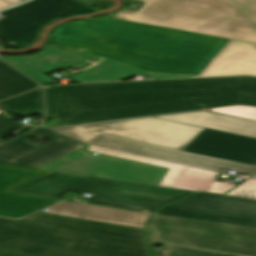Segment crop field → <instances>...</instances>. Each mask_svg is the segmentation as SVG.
I'll return each instance as SVG.
<instances>
[{
    "mask_svg": "<svg viewBox=\"0 0 256 256\" xmlns=\"http://www.w3.org/2000/svg\"><path fill=\"white\" fill-rule=\"evenodd\" d=\"M36 86L25 76L0 61V100Z\"/></svg>",
    "mask_w": 256,
    "mask_h": 256,
    "instance_id": "crop-field-20",
    "label": "crop field"
},
{
    "mask_svg": "<svg viewBox=\"0 0 256 256\" xmlns=\"http://www.w3.org/2000/svg\"><path fill=\"white\" fill-rule=\"evenodd\" d=\"M226 195L256 199V180L248 179Z\"/></svg>",
    "mask_w": 256,
    "mask_h": 256,
    "instance_id": "crop-field-23",
    "label": "crop field"
},
{
    "mask_svg": "<svg viewBox=\"0 0 256 256\" xmlns=\"http://www.w3.org/2000/svg\"><path fill=\"white\" fill-rule=\"evenodd\" d=\"M135 72L109 63H99L72 77L77 82L112 81L114 79L127 78Z\"/></svg>",
    "mask_w": 256,
    "mask_h": 256,
    "instance_id": "crop-field-19",
    "label": "crop field"
},
{
    "mask_svg": "<svg viewBox=\"0 0 256 256\" xmlns=\"http://www.w3.org/2000/svg\"><path fill=\"white\" fill-rule=\"evenodd\" d=\"M51 172L0 164V216L19 218L59 200L8 192Z\"/></svg>",
    "mask_w": 256,
    "mask_h": 256,
    "instance_id": "crop-field-14",
    "label": "crop field"
},
{
    "mask_svg": "<svg viewBox=\"0 0 256 256\" xmlns=\"http://www.w3.org/2000/svg\"><path fill=\"white\" fill-rule=\"evenodd\" d=\"M1 59L15 66L38 84L53 82L43 74L55 70L61 66L80 68L88 65L87 63L73 57L55 46H48L32 56H1Z\"/></svg>",
    "mask_w": 256,
    "mask_h": 256,
    "instance_id": "crop-field-16",
    "label": "crop field"
},
{
    "mask_svg": "<svg viewBox=\"0 0 256 256\" xmlns=\"http://www.w3.org/2000/svg\"><path fill=\"white\" fill-rule=\"evenodd\" d=\"M92 12L96 11L73 0H33L0 12L5 17L0 20V35L23 49L37 40V31L47 23L57 18Z\"/></svg>",
    "mask_w": 256,
    "mask_h": 256,
    "instance_id": "crop-field-9",
    "label": "crop field"
},
{
    "mask_svg": "<svg viewBox=\"0 0 256 256\" xmlns=\"http://www.w3.org/2000/svg\"><path fill=\"white\" fill-rule=\"evenodd\" d=\"M47 213L144 228L143 222L148 219L147 214L104 208L74 202L63 201L51 206Z\"/></svg>",
    "mask_w": 256,
    "mask_h": 256,
    "instance_id": "crop-field-17",
    "label": "crop field"
},
{
    "mask_svg": "<svg viewBox=\"0 0 256 256\" xmlns=\"http://www.w3.org/2000/svg\"><path fill=\"white\" fill-rule=\"evenodd\" d=\"M0 256L155 255L143 229L37 212L0 218Z\"/></svg>",
    "mask_w": 256,
    "mask_h": 256,
    "instance_id": "crop-field-3",
    "label": "crop field"
},
{
    "mask_svg": "<svg viewBox=\"0 0 256 256\" xmlns=\"http://www.w3.org/2000/svg\"><path fill=\"white\" fill-rule=\"evenodd\" d=\"M10 120L0 115V139L10 130L24 127ZM29 131L35 138L39 140L45 138L51 143L42 147L32 145L24 139L29 137L28 133L10 141L0 140V163L36 168L85 146V144L45 128L34 127Z\"/></svg>",
    "mask_w": 256,
    "mask_h": 256,
    "instance_id": "crop-field-11",
    "label": "crop field"
},
{
    "mask_svg": "<svg viewBox=\"0 0 256 256\" xmlns=\"http://www.w3.org/2000/svg\"><path fill=\"white\" fill-rule=\"evenodd\" d=\"M164 256H256V229L154 216Z\"/></svg>",
    "mask_w": 256,
    "mask_h": 256,
    "instance_id": "crop-field-6",
    "label": "crop field"
},
{
    "mask_svg": "<svg viewBox=\"0 0 256 256\" xmlns=\"http://www.w3.org/2000/svg\"><path fill=\"white\" fill-rule=\"evenodd\" d=\"M154 252H155V251H154ZM155 255H156V256H159L156 252H155Z\"/></svg>",
    "mask_w": 256,
    "mask_h": 256,
    "instance_id": "crop-field-30",
    "label": "crop field"
},
{
    "mask_svg": "<svg viewBox=\"0 0 256 256\" xmlns=\"http://www.w3.org/2000/svg\"><path fill=\"white\" fill-rule=\"evenodd\" d=\"M131 20L256 43V0H147Z\"/></svg>",
    "mask_w": 256,
    "mask_h": 256,
    "instance_id": "crop-field-4",
    "label": "crop field"
},
{
    "mask_svg": "<svg viewBox=\"0 0 256 256\" xmlns=\"http://www.w3.org/2000/svg\"><path fill=\"white\" fill-rule=\"evenodd\" d=\"M5 1H8V2H10V3H12V4H16V3L21 2V1H23V0H5ZM23 2H24V1H23Z\"/></svg>",
    "mask_w": 256,
    "mask_h": 256,
    "instance_id": "crop-field-26",
    "label": "crop field"
},
{
    "mask_svg": "<svg viewBox=\"0 0 256 256\" xmlns=\"http://www.w3.org/2000/svg\"><path fill=\"white\" fill-rule=\"evenodd\" d=\"M156 215L256 228V200L199 192Z\"/></svg>",
    "mask_w": 256,
    "mask_h": 256,
    "instance_id": "crop-field-10",
    "label": "crop field"
},
{
    "mask_svg": "<svg viewBox=\"0 0 256 256\" xmlns=\"http://www.w3.org/2000/svg\"><path fill=\"white\" fill-rule=\"evenodd\" d=\"M153 216H154V215H153ZM151 218H152V217H151ZM150 220H151V219H150ZM149 222H150V221H149ZM146 226H147V224H146ZM147 231H148L149 242H152V243H150L151 246H152L153 248H155V249L159 252V249H158L157 247H154V246H153V244L155 243V241L152 240V239L154 238V232H153V233L151 232V231H153V229L147 226Z\"/></svg>",
    "mask_w": 256,
    "mask_h": 256,
    "instance_id": "crop-field-25",
    "label": "crop field"
},
{
    "mask_svg": "<svg viewBox=\"0 0 256 256\" xmlns=\"http://www.w3.org/2000/svg\"><path fill=\"white\" fill-rule=\"evenodd\" d=\"M11 114L29 116L43 112L41 89L20 95L0 103Z\"/></svg>",
    "mask_w": 256,
    "mask_h": 256,
    "instance_id": "crop-field-21",
    "label": "crop field"
},
{
    "mask_svg": "<svg viewBox=\"0 0 256 256\" xmlns=\"http://www.w3.org/2000/svg\"><path fill=\"white\" fill-rule=\"evenodd\" d=\"M156 117L201 127H208L224 132L256 137V122L208 113L204 111Z\"/></svg>",
    "mask_w": 256,
    "mask_h": 256,
    "instance_id": "crop-field-18",
    "label": "crop field"
},
{
    "mask_svg": "<svg viewBox=\"0 0 256 256\" xmlns=\"http://www.w3.org/2000/svg\"><path fill=\"white\" fill-rule=\"evenodd\" d=\"M52 129L87 143L100 134H108L179 150L204 130L151 118Z\"/></svg>",
    "mask_w": 256,
    "mask_h": 256,
    "instance_id": "crop-field-7",
    "label": "crop field"
},
{
    "mask_svg": "<svg viewBox=\"0 0 256 256\" xmlns=\"http://www.w3.org/2000/svg\"><path fill=\"white\" fill-rule=\"evenodd\" d=\"M90 144L215 171H218L220 167H223L250 175L256 172V166L253 165L229 162L208 156L190 154L184 151L108 135H100Z\"/></svg>",
    "mask_w": 256,
    "mask_h": 256,
    "instance_id": "crop-field-12",
    "label": "crop field"
},
{
    "mask_svg": "<svg viewBox=\"0 0 256 256\" xmlns=\"http://www.w3.org/2000/svg\"><path fill=\"white\" fill-rule=\"evenodd\" d=\"M148 73V72H147Z\"/></svg>",
    "mask_w": 256,
    "mask_h": 256,
    "instance_id": "crop-field-31",
    "label": "crop field"
},
{
    "mask_svg": "<svg viewBox=\"0 0 256 256\" xmlns=\"http://www.w3.org/2000/svg\"><path fill=\"white\" fill-rule=\"evenodd\" d=\"M252 179H256V175L252 177Z\"/></svg>",
    "mask_w": 256,
    "mask_h": 256,
    "instance_id": "crop-field-29",
    "label": "crop field"
},
{
    "mask_svg": "<svg viewBox=\"0 0 256 256\" xmlns=\"http://www.w3.org/2000/svg\"><path fill=\"white\" fill-rule=\"evenodd\" d=\"M136 75H141V76H143V77H144V79H146V78H145V76H144V75H142L141 73H139V74H136Z\"/></svg>",
    "mask_w": 256,
    "mask_h": 256,
    "instance_id": "crop-field-28",
    "label": "crop field"
},
{
    "mask_svg": "<svg viewBox=\"0 0 256 256\" xmlns=\"http://www.w3.org/2000/svg\"><path fill=\"white\" fill-rule=\"evenodd\" d=\"M7 6H10V5H8V4H6V3L0 1V9H1V8H4V7H7Z\"/></svg>",
    "mask_w": 256,
    "mask_h": 256,
    "instance_id": "crop-field-27",
    "label": "crop field"
},
{
    "mask_svg": "<svg viewBox=\"0 0 256 256\" xmlns=\"http://www.w3.org/2000/svg\"><path fill=\"white\" fill-rule=\"evenodd\" d=\"M89 151L101 153L108 156L119 157L169 168L158 185L174 187L194 191H209L224 194L234 187L232 184H226L214 181L217 172L185 166L172 162L127 154L109 149L99 148L89 145Z\"/></svg>",
    "mask_w": 256,
    "mask_h": 256,
    "instance_id": "crop-field-13",
    "label": "crop field"
},
{
    "mask_svg": "<svg viewBox=\"0 0 256 256\" xmlns=\"http://www.w3.org/2000/svg\"><path fill=\"white\" fill-rule=\"evenodd\" d=\"M50 41L85 50L62 49L85 62H109L139 71L147 79L188 77L142 70L185 76L256 75V44L112 18L60 25Z\"/></svg>",
    "mask_w": 256,
    "mask_h": 256,
    "instance_id": "crop-field-1",
    "label": "crop field"
},
{
    "mask_svg": "<svg viewBox=\"0 0 256 256\" xmlns=\"http://www.w3.org/2000/svg\"><path fill=\"white\" fill-rule=\"evenodd\" d=\"M125 1H129L131 3H137V2H142L143 4H145L144 2L146 0H125ZM143 7V6H142ZM141 7V8H142ZM139 10V9H138ZM136 11H132V10H129L127 8H125L122 12L112 16V17H115V18H120V19H126V20H130L131 17L135 14Z\"/></svg>",
    "mask_w": 256,
    "mask_h": 256,
    "instance_id": "crop-field-24",
    "label": "crop field"
},
{
    "mask_svg": "<svg viewBox=\"0 0 256 256\" xmlns=\"http://www.w3.org/2000/svg\"><path fill=\"white\" fill-rule=\"evenodd\" d=\"M94 194L86 202L154 213L194 191L53 172L12 192L56 199L66 191Z\"/></svg>",
    "mask_w": 256,
    "mask_h": 256,
    "instance_id": "crop-field-5",
    "label": "crop field"
},
{
    "mask_svg": "<svg viewBox=\"0 0 256 256\" xmlns=\"http://www.w3.org/2000/svg\"><path fill=\"white\" fill-rule=\"evenodd\" d=\"M86 147L77 150L74 155L49 162L38 169L58 171L76 175L157 185L167 171L166 168L108 157L104 155H90L84 153ZM83 154L82 157L78 156Z\"/></svg>",
    "mask_w": 256,
    "mask_h": 256,
    "instance_id": "crop-field-8",
    "label": "crop field"
},
{
    "mask_svg": "<svg viewBox=\"0 0 256 256\" xmlns=\"http://www.w3.org/2000/svg\"><path fill=\"white\" fill-rule=\"evenodd\" d=\"M210 111L256 120V108L248 106H232L210 109Z\"/></svg>",
    "mask_w": 256,
    "mask_h": 256,
    "instance_id": "crop-field-22",
    "label": "crop field"
},
{
    "mask_svg": "<svg viewBox=\"0 0 256 256\" xmlns=\"http://www.w3.org/2000/svg\"><path fill=\"white\" fill-rule=\"evenodd\" d=\"M47 115L59 126L219 106L256 107V78L146 81L45 87Z\"/></svg>",
    "mask_w": 256,
    "mask_h": 256,
    "instance_id": "crop-field-2",
    "label": "crop field"
},
{
    "mask_svg": "<svg viewBox=\"0 0 256 256\" xmlns=\"http://www.w3.org/2000/svg\"><path fill=\"white\" fill-rule=\"evenodd\" d=\"M183 150L256 165V138L224 133L208 128Z\"/></svg>",
    "mask_w": 256,
    "mask_h": 256,
    "instance_id": "crop-field-15",
    "label": "crop field"
}]
</instances>
